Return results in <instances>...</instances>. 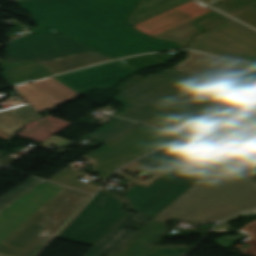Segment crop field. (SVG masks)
<instances>
[{
  "label": "crop field",
  "mask_w": 256,
  "mask_h": 256,
  "mask_svg": "<svg viewBox=\"0 0 256 256\" xmlns=\"http://www.w3.org/2000/svg\"><path fill=\"white\" fill-rule=\"evenodd\" d=\"M224 159L170 144L136 161L168 171L148 187L129 184L122 198L131 211L155 217Z\"/></svg>",
  "instance_id": "crop-field-2"
},
{
  "label": "crop field",
  "mask_w": 256,
  "mask_h": 256,
  "mask_svg": "<svg viewBox=\"0 0 256 256\" xmlns=\"http://www.w3.org/2000/svg\"><path fill=\"white\" fill-rule=\"evenodd\" d=\"M211 6L236 17L252 8L256 7V0H219Z\"/></svg>",
  "instance_id": "crop-field-24"
},
{
  "label": "crop field",
  "mask_w": 256,
  "mask_h": 256,
  "mask_svg": "<svg viewBox=\"0 0 256 256\" xmlns=\"http://www.w3.org/2000/svg\"><path fill=\"white\" fill-rule=\"evenodd\" d=\"M186 49L229 59L256 61V31L231 20L196 36Z\"/></svg>",
  "instance_id": "crop-field-8"
},
{
  "label": "crop field",
  "mask_w": 256,
  "mask_h": 256,
  "mask_svg": "<svg viewBox=\"0 0 256 256\" xmlns=\"http://www.w3.org/2000/svg\"><path fill=\"white\" fill-rule=\"evenodd\" d=\"M138 125H140V123L115 118L102 126L100 129L80 137L79 140L82 141L90 137L96 141L105 144Z\"/></svg>",
  "instance_id": "crop-field-21"
},
{
  "label": "crop field",
  "mask_w": 256,
  "mask_h": 256,
  "mask_svg": "<svg viewBox=\"0 0 256 256\" xmlns=\"http://www.w3.org/2000/svg\"><path fill=\"white\" fill-rule=\"evenodd\" d=\"M141 0H16L32 20L115 59L182 48L135 30L128 19Z\"/></svg>",
  "instance_id": "crop-field-1"
},
{
  "label": "crop field",
  "mask_w": 256,
  "mask_h": 256,
  "mask_svg": "<svg viewBox=\"0 0 256 256\" xmlns=\"http://www.w3.org/2000/svg\"><path fill=\"white\" fill-rule=\"evenodd\" d=\"M214 85L256 100V63H252Z\"/></svg>",
  "instance_id": "crop-field-16"
},
{
  "label": "crop field",
  "mask_w": 256,
  "mask_h": 256,
  "mask_svg": "<svg viewBox=\"0 0 256 256\" xmlns=\"http://www.w3.org/2000/svg\"><path fill=\"white\" fill-rule=\"evenodd\" d=\"M201 1H203V2H205V3H207V4H209V3H212V2H214V1H216V0H201Z\"/></svg>",
  "instance_id": "crop-field-32"
},
{
  "label": "crop field",
  "mask_w": 256,
  "mask_h": 256,
  "mask_svg": "<svg viewBox=\"0 0 256 256\" xmlns=\"http://www.w3.org/2000/svg\"><path fill=\"white\" fill-rule=\"evenodd\" d=\"M246 141L256 142V103L173 144L226 157Z\"/></svg>",
  "instance_id": "crop-field-5"
},
{
  "label": "crop field",
  "mask_w": 256,
  "mask_h": 256,
  "mask_svg": "<svg viewBox=\"0 0 256 256\" xmlns=\"http://www.w3.org/2000/svg\"><path fill=\"white\" fill-rule=\"evenodd\" d=\"M113 59L97 50L43 62L55 72H63L97 62Z\"/></svg>",
  "instance_id": "crop-field-18"
},
{
  "label": "crop field",
  "mask_w": 256,
  "mask_h": 256,
  "mask_svg": "<svg viewBox=\"0 0 256 256\" xmlns=\"http://www.w3.org/2000/svg\"><path fill=\"white\" fill-rule=\"evenodd\" d=\"M227 19L229 18L216 11H213L209 14H206L197 19L189 21L178 27H175L166 32L158 34L154 37L161 38V39L174 40L184 47V46H187L192 36H195L198 33L210 28L211 26H214Z\"/></svg>",
  "instance_id": "crop-field-14"
},
{
  "label": "crop field",
  "mask_w": 256,
  "mask_h": 256,
  "mask_svg": "<svg viewBox=\"0 0 256 256\" xmlns=\"http://www.w3.org/2000/svg\"><path fill=\"white\" fill-rule=\"evenodd\" d=\"M254 207L256 181L213 168L151 222L165 225L174 217L200 224Z\"/></svg>",
  "instance_id": "crop-field-3"
},
{
  "label": "crop field",
  "mask_w": 256,
  "mask_h": 256,
  "mask_svg": "<svg viewBox=\"0 0 256 256\" xmlns=\"http://www.w3.org/2000/svg\"><path fill=\"white\" fill-rule=\"evenodd\" d=\"M51 184L43 183L2 211L16 217L0 232L1 239L17 248L28 249L47 230L40 225L45 215L35 195Z\"/></svg>",
  "instance_id": "crop-field-10"
},
{
  "label": "crop field",
  "mask_w": 256,
  "mask_h": 256,
  "mask_svg": "<svg viewBox=\"0 0 256 256\" xmlns=\"http://www.w3.org/2000/svg\"><path fill=\"white\" fill-rule=\"evenodd\" d=\"M237 18L256 28V10H252V11H250L246 14H243Z\"/></svg>",
  "instance_id": "crop-field-28"
},
{
  "label": "crop field",
  "mask_w": 256,
  "mask_h": 256,
  "mask_svg": "<svg viewBox=\"0 0 256 256\" xmlns=\"http://www.w3.org/2000/svg\"><path fill=\"white\" fill-rule=\"evenodd\" d=\"M254 100L211 85L165 112L204 126Z\"/></svg>",
  "instance_id": "crop-field-9"
},
{
  "label": "crop field",
  "mask_w": 256,
  "mask_h": 256,
  "mask_svg": "<svg viewBox=\"0 0 256 256\" xmlns=\"http://www.w3.org/2000/svg\"><path fill=\"white\" fill-rule=\"evenodd\" d=\"M10 86L54 75L52 71L40 63L12 69L2 72Z\"/></svg>",
  "instance_id": "crop-field-22"
},
{
  "label": "crop field",
  "mask_w": 256,
  "mask_h": 256,
  "mask_svg": "<svg viewBox=\"0 0 256 256\" xmlns=\"http://www.w3.org/2000/svg\"><path fill=\"white\" fill-rule=\"evenodd\" d=\"M208 86L169 68L113 98L124 104L115 115L144 122Z\"/></svg>",
  "instance_id": "crop-field-4"
},
{
  "label": "crop field",
  "mask_w": 256,
  "mask_h": 256,
  "mask_svg": "<svg viewBox=\"0 0 256 256\" xmlns=\"http://www.w3.org/2000/svg\"><path fill=\"white\" fill-rule=\"evenodd\" d=\"M135 71L137 70L117 60L52 78L79 93L93 87L104 89Z\"/></svg>",
  "instance_id": "crop-field-11"
},
{
  "label": "crop field",
  "mask_w": 256,
  "mask_h": 256,
  "mask_svg": "<svg viewBox=\"0 0 256 256\" xmlns=\"http://www.w3.org/2000/svg\"><path fill=\"white\" fill-rule=\"evenodd\" d=\"M256 143L247 142L229 155L216 168L243 174L256 180Z\"/></svg>",
  "instance_id": "crop-field-15"
},
{
  "label": "crop field",
  "mask_w": 256,
  "mask_h": 256,
  "mask_svg": "<svg viewBox=\"0 0 256 256\" xmlns=\"http://www.w3.org/2000/svg\"><path fill=\"white\" fill-rule=\"evenodd\" d=\"M187 54L188 58L186 60L171 68L210 84L249 64L216 58L194 51H189Z\"/></svg>",
  "instance_id": "crop-field-12"
},
{
  "label": "crop field",
  "mask_w": 256,
  "mask_h": 256,
  "mask_svg": "<svg viewBox=\"0 0 256 256\" xmlns=\"http://www.w3.org/2000/svg\"><path fill=\"white\" fill-rule=\"evenodd\" d=\"M37 86L52 94L61 101H70L75 99V92L60 84L56 80L50 78L38 82H34Z\"/></svg>",
  "instance_id": "crop-field-25"
},
{
  "label": "crop field",
  "mask_w": 256,
  "mask_h": 256,
  "mask_svg": "<svg viewBox=\"0 0 256 256\" xmlns=\"http://www.w3.org/2000/svg\"><path fill=\"white\" fill-rule=\"evenodd\" d=\"M137 216V214L129 212L108 234V236L88 251L84 256H107L124 241L131 237L136 231L126 229L129 223Z\"/></svg>",
  "instance_id": "crop-field-17"
},
{
  "label": "crop field",
  "mask_w": 256,
  "mask_h": 256,
  "mask_svg": "<svg viewBox=\"0 0 256 256\" xmlns=\"http://www.w3.org/2000/svg\"><path fill=\"white\" fill-rule=\"evenodd\" d=\"M188 1L190 0H142L129 22L134 26Z\"/></svg>",
  "instance_id": "crop-field-19"
},
{
  "label": "crop field",
  "mask_w": 256,
  "mask_h": 256,
  "mask_svg": "<svg viewBox=\"0 0 256 256\" xmlns=\"http://www.w3.org/2000/svg\"><path fill=\"white\" fill-rule=\"evenodd\" d=\"M123 204L121 196L101 189L56 237L94 246L128 213Z\"/></svg>",
  "instance_id": "crop-field-7"
},
{
  "label": "crop field",
  "mask_w": 256,
  "mask_h": 256,
  "mask_svg": "<svg viewBox=\"0 0 256 256\" xmlns=\"http://www.w3.org/2000/svg\"><path fill=\"white\" fill-rule=\"evenodd\" d=\"M4 166L0 165V169L3 168Z\"/></svg>",
  "instance_id": "crop-field-33"
},
{
  "label": "crop field",
  "mask_w": 256,
  "mask_h": 256,
  "mask_svg": "<svg viewBox=\"0 0 256 256\" xmlns=\"http://www.w3.org/2000/svg\"><path fill=\"white\" fill-rule=\"evenodd\" d=\"M144 77H140V76H136L134 75L130 80L122 83L120 86H118L117 88L113 89L119 93L123 92L124 90H126L127 88H129L130 86H132L133 84H135L136 82H138L139 80L143 79Z\"/></svg>",
  "instance_id": "crop-field-29"
},
{
  "label": "crop field",
  "mask_w": 256,
  "mask_h": 256,
  "mask_svg": "<svg viewBox=\"0 0 256 256\" xmlns=\"http://www.w3.org/2000/svg\"><path fill=\"white\" fill-rule=\"evenodd\" d=\"M239 215H241V216H243V217H245V218L256 216V209H255V210H252V211H248V212L241 213V214H239ZM239 215L233 216V217H231V218L225 220L226 223H228V222H230V221H232V220H235V219L239 218Z\"/></svg>",
  "instance_id": "crop-field-30"
},
{
  "label": "crop field",
  "mask_w": 256,
  "mask_h": 256,
  "mask_svg": "<svg viewBox=\"0 0 256 256\" xmlns=\"http://www.w3.org/2000/svg\"><path fill=\"white\" fill-rule=\"evenodd\" d=\"M13 89L40 114L47 109L63 104V102L32 83L14 87Z\"/></svg>",
  "instance_id": "crop-field-20"
},
{
  "label": "crop field",
  "mask_w": 256,
  "mask_h": 256,
  "mask_svg": "<svg viewBox=\"0 0 256 256\" xmlns=\"http://www.w3.org/2000/svg\"><path fill=\"white\" fill-rule=\"evenodd\" d=\"M211 11L213 10L193 0L140 23L134 28L154 36Z\"/></svg>",
  "instance_id": "crop-field-13"
},
{
  "label": "crop field",
  "mask_w": 256,
  "mask_h": 256,
  "mask_svg": "<svg viewBox=\"0 0 256 256\" xmlns=\"http://www.w3.org/2000/svg\"><path fill=\"white\" fill-rule=\"evenodd\" d=\"M226 231H230V230L226 227V225L224 223H222L220 226H218L212 232H226Z\"/></svg>",
  "instance_id": "crop-field-31"
},
{
  "label": "crop field",
  "mask_w": 256,
  "mask_h": 256,
  "mask_svg": "<svg viewBox=\"0 0 256 256\" xmlns=\"http://www.w3.org/2000/svg\"><path fill=\"white\" fill-rule=\"evenodd\" d=\"M121 61L140 70V69L148 68V67L159 65V64H164L165 62L170 60L161 54H145V55H140L136 57L125 58Z\"/></svg>",
  "instance_id": "crop-field-26"
},
{
  "label": "crop field",
  "mask_w": 256,
  "mask_h": 256,
  "mask_svg": "<svg viewBox=\"0 0 256 256\" xmlns=\"http://www.w3.org/2000/svg\"><path fill=\"white\" fill-rule=\"evenodd\" d=\"M90 195L53 184L37 194L46 215L41 223L49 229L28 249L20 250L0 240V254L9 256H36L60 228L85 203ZM14 216L0 212V231Z\"/></svg>",
  "instance_id": "crop-field-6"
},
{
  "label": "crop field",
  "mask_w": 256,
  "mask_h": 256,
  "mask_svg": "<svg viewBox=\"0 0 256 256\" xmlns=\"http://www.w3.org/2000/svg\"><path fill=\"white\" fill-rule=\"evenodd\" d=\"M246 235L239 233L237 236L235 237H231L229 235L219 238L217 240H215L214 242H216L217 244H219L221 247L223 248H228L229 246L233 245L237 240L245 237Z\"/></svg>",
  "instance_id": "crop-field-27"
},
{
  "label": "crop field",
  "mask_w": 256,
  "mask_h": 256,
  "mask_svg": "<svg viewBox=\"0 0 256 256\" xmlns=\"http://www.w3.org/2000/svg\"><path fill=\"white\" fill-rule=\"evenodd\" d=\"M44 181L36 179L34 177L28 179L24 183L20 184L16 188L12 189L8 193L0 197V211L42 184Z\"/></svg>",
  "instance_id": "crop-field-23"
}]
</instances>
